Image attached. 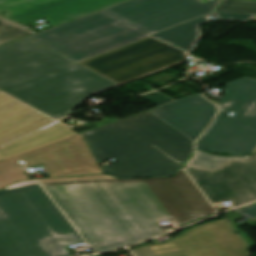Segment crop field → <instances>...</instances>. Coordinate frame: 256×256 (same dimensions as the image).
I'll list each match as a JSON object with an SVG mask.
<instances>
[{
    "mask_svg": "<svg viewBox=\"0 0 256 256\" xmlns=\"http://www.w3.org/2000/svg\"><path fill=\"white\" fill-rule=\"evenodd\" d=\"M95 253L216 214L182 169L174 177L41 184ZM140 242V241H139Z\"/></svg>",
    "mask_w": 256,
    "mask_h": 256,
    "instance_id": "1",
    "label": "crop field"
},
{
    "mask_svg": "<svg viewBox=\"0 0 256 256\" xmlns=\"http://www.w3.org/2000/svg\"><path fill=\"white\" fill-rule=\"evenodd\" d=\"M198 0H129L30 38L79 62L210 14Z\"/></svg>",
    "mask_w": 256,
    "mask_h": 256,
    "instance_id": "2",
    "label": "crop field"
},
{
    "mask_svg": "<svg viewBox=\"0 0 256 256\" xmlns=\"http://www.w3.org/2000/svg\"><path fill=\"white\" fill-rule=\"evenodd\" d=\"M70 225L38 184L0 191V256H72Z\"/></svg>",
    "mask_w": 256,
    "mask_h": 256,
    "instance_id": "3",
    "label": "crop field"
},
{
    "mask_svg": "<svg viewBox=\"0 0 256 256\" xmlns=\"http://www.w3.org/2000/svg\"><path fill=\"white\" fill-rule=\"evenodd\" d=\"M97 164L155 145L184 163L194 150L191 140L146 110L125 119L81 133Z\"/></svg>",
    "mask_w": 256,
    "mask_h": 256,
    "instance_id": "4",
    "label": "crop field"
},
{
    "mask_svg": "<svg viewBox=\"0 0 256 256\" xmlns=\"http://www.w3.org/2000/svg\"><path fill=\"white\" fill-rule=\"evenodd\" d=\"M114 86L76 63L2 91L58 120L88 96Z\"/></svg>",
    "mask_w": 256,
    "mask_h": 256,
    "instance_id": "5",
    "label": "crop field"
},
{
    "mask_svg": "<svg viewBox=\"0 0 256 256\" xmlns=\"http://www.w3.org/2000/svg\"><path fill=\"white\" fill-rule=\"evenodd\" d=\"M214 123L196 143L197 150L237 155L256 146V79L227 83ZM229 111H236L233 116Z\"/></svg>",
    "mask_w": 256,
    "mask_h": 256,
    "instance_id": "6",
    "label": "crop field"
},
{
    "mask_svg": "<svg viewBox=\"0 0 256 256\" xmlns=\"http://www.w3.org/2000/svg\"><path fill=\"white\" fill-rule=\"evenodd\" d=\"M187 53L148 36L79 63L120 85L189 60Z\"/></svg>",
    "mask_w": 256,
    "mask_h": 256,
    "instance_id": "7",
    "label": "crop field"
},
{
    "mask_svg": "<svg viewBox=\"0 0 256 256\" xmlns=\"http://www.w3.org/2000/svg\"><path fill=\"white\" fill-rule=\"evenodd\" d=\"M43 163L51 177L101 173L80 134L0 161V189L29 178L20 167Z\"/></svg>",
    "mask_w": 256,
    "mask_h": 256,
    "instance_id": "8",
    "label": "crop field"
},
{
    "mask_svg": "<svg viewBox=\"0 0 256 256\" xmlns=\"http://www.w3.org/2000/svg\"><path fill=\"white\" fill-rule=\"evenodd\" d=\"M248 250L224 220L196 226L166 244L132 250L134 256H241Z\"/></svg>",
    "mask_w": 256,
    "mask_h": 256,
    "instance_id": "9",
    "label": "crop field"
},
{
    "mask_svg": "<svg viewBox=\"0 0 256 256\" xmlns=\"http://www.w3.org/2000/svg\"><path fill=\"white\" fill-rule=\"evenodd\" d=\"M187 172L211 203L232 200L235 207L256 199V154L213 171L188 165Z\"/></svg>",
    "mask_w": 256,
    "mask_h": 256,
    "instance_id": "10",
    "label": "crop field"
},
{
    "mask_svg": "<svg viewBox=\"0 0 256 256\" xmlns=\"http://www.w3.org/2000/svg\"><path fill=\"white\" fill-rule=\"evenodd\" d=\"M76 63L52 49L24 38L0 47V90Z\"/></svg>",
    "mask_w": 256,
    "mask_h": 256,
    "instance_id": "11",
    "label": "crop field"
},
{
    "mask_svg": "<svg viewBox=\"0 0 256 256\" xmlns=\"http://www.w3.org/2000/svg\"><path fill=\"white\" fill-rule=\"evenodd\" d=\"M149 110L195 142L211 123L216 106L194 94Z\"/></svg>",
    "mask_w": 256,
    "mask_h": 256,
    "instance_id": "12",
    "label": "crop field"
},
{
    "mask_svg": "<svg viewBox=\"0 0 256 256\" xmlns=\"http://www.w3.org/2000/svg\"><path fill=\"white\" fill-rule=\"evenodd\" d=\"M180 166L154 146L130 155L101 170L116 178L172 176Z\"/></svg>",
    "mask_w": 256,
    "mask_h": 256,
    "instance_id": "13",
    "label": "crop field"
},
{
    "mask_svg": "<svg viewBox=\"0 0 256 256\" xmlns=\"http://www.w3.org/2000/svg\"><path fill=\"white\" fill-rule=\"evenodd\" d=\"M52 121L0 92V145Z\"/></svg>",
    "mask_w": 256,
    "mask_h": 256,
    "instance_id": "14",
    "label": "crop field"
},
{
    "mask_svg": "<svg viewBox=\"0 0 256 256\" xmlns=\"http://www.w3.org/2000/svg\"><path fill=\"white\" fill-rule=\"evenodd\" d=\"M123 1L126 0H65L12 20L27 25L43 18L56 27Z\"/></svg>",
    "mask_w": 256,
    "mask_h": 256,
    "instance_id": "15",
    "label": "crop field"
},
{
    "mask_svg": "<svg viewBox=\"0 0 256 256\" xmlns=\"http://www.w3.org/2000/svg\"><path fill=\"white\" fill-rule=\"evenodd\" d=\"M74 134L64 123L58 121L13 142L17 146L0 151V158L4 159Z\"/></svg>",
    "mask_w": 256,
    "mask_h": 256,
    "instance_id": "16",
    "label": "crop field"
},
{
    "mask_svg": "<svg viewBox=\"0 0 256 256\" xmlns=\"http://www.w3.org/2000/svg\"><path fill=\"white\" fill-rule=\"evenodd\" d=\"M208 16L209 15L178 25L151 36L171 43L174 47H179L185 51L192 52L199 37H201L199 25L210 21L207 18Z\"/></svg>",
    "mask_w": 256,
    "mask_h": 256,
    "instance_id": "17",
    "label": "crop field"
},
{
    "mask_svg": "<svg viewBox=\"0 0 256 256\" xmlns=\"http://www.w3.org/2000/svg\"><path fill=\"white\" fill-rule=\"evenodd\" d=\"M59 1L62 0H0V13L5 11L7 14L2 16L12 19Z\"/></svg>",
    "mask_w": 256,
    "mask_h": 256,
    "instance_id": "18",
    "label": "crop field"
},
{
    "mask_svg": "<svg viewBox=\"0 0 256 256\" xmlns=\"http://www.w3.org/2000/svg\"><path fill=\"white\" fill-rule=\"evenodd\" d=\"M35 33L31 29L0 17V46Z\"/></svg>",
    "mask_w": 256,
    "mask_h": 256,
    "instance_id": "19",
    "label": "crop field"
},
{
    "mask_svg": "<svg viewBox=\"0 0 256 256\" xmlns=\"http://www.w3.org/2000/svg\"><path fill=\"white\" fill-rule=\"evenodd\" d=\"M240 158H248V156L218 157L206 152H197L196 157L189 164L213 170L231 159Z\"/></svg>",
    "mask_w": 256,
    "mask_h": 256,
    "instance_id": "20",
    "label": "crop field"
},
{
    "mask_svg": "<svg viewBox=\"0 0 256 256\" xmlns=\"http://www.w3.org/2000/svg\"><path fill=\"white\" fill-rule=\"evenodd\" d=\"M215 11L234 13H256V2L221 0Z\"/></svg>",
    "mask_w": 256,
    "mask_h": 256,
    "instance_id": "21",
    "label": "crop field"
},
{
    "mask_svg": "<svg viewBox=\"0 0 256 256\" xmlns=\"http://www.w3.org/2000/svg\"><path fill=\"white\" fill-rule=\"evenodd\" d=\"M219 20L246 22L256 14L214 13Z\"/></svg>",
    "mask_w": 256,
    "mask_h": 256,
    "instance_id": "22",
    "label": "crop field"
},
{
    "mask_svg": "<svg viewBox=\"0 0 256 256\" xmlns=\"http://www.w3.org/2000/svg\"><path fill=\"white\" fill-rule=\"evenodd\" d=\"M112 178L107 175H96V176H87V177H77V178H63V179H45L37 180L39 183H48V182H66V181H81V180H95V179H108Z\"/></svg>",
    "mask_w": 256,
    "mask_h": 256,
    "instance_id": "23",
    "label": "crop field"
},
{
    "mask_svg": "<svg viewBox=\"0 0 256 256\" xmlns=\"http://www.w3.org/2000/svg\"><path fill=\"white\" fill-rule=\"evenodd\" d=\"M142 97L146 98L147 100L151 101L152 103L158 106L174 101L173 99L163 95L160 92H154L151 94L143 95Z\"/></svg>",
    "mask_w": 256,
    "mask_h": 256,
    "instance_id": "24",
    "label": "crop field"
},
{
    "mask_svg": "<svg viewBox=\"0 0 256 256\" xmlns=\"http://www.w3.org/2000/svg\"><path fill=\"white\" fill-rule=\"evenodd\" d=\"M251 220L256 221V204L251 205L243 210L235 211Z\"/></svg>",
    "mask_w": 256,
    "mask_h": 256,
    "instance_id": "25",
    "label": "crop field"
},
{
    "mask_svg": "<svg viewBox=\"0 0 256 256\" xmlns=\"http://www.w3.org/2000/svg\"><path fill=\"white\" fill-rule=\"evenodd\" d=\"M12 146H15V145L11 143V144H9L7 146H4V147L0 148V150L6 149V148H9V147H12Z\"/></svg>",
    "mask_w": 256,
    "mask_h": 256,
    "instance_id": "26",
    "label": "crop field"
},
{
    "mask_svg": "<svg viewBox=\"0 0 256 256\" xmlns=\"http://www.w3.org/2000/svg\"><path fill=\"white\" fill-rule=\"evenodd\" d=\"M242 256H247V251L241 252Z\"/></svg>",
    "mask_w": 256,
    "mask_h": 256,
    "instance_id": "27",
    "label": "crop field"
},
{
    "mask_svg": "<svg viewBox=\"0 0 256 256\" xmlns=\"http://www.w3.org/2000/svg\"><path fill=\"white\" fill-rule=\"evenodd\" d=\"M251 21H256V17H255V18H253V19H251Z\"/></svg>",
    "mask_w": 256,
    "mask_h": 256,
    "instance_id": "28",
    "label": "crop field"
},
{
    "mask_svg": "<svg viewBox=\"0 0 256 256\" xmlns=\"http://www.w3.org/2000/svg\"><path fill=\"white\" fill-rule=\"evenodd\" d=\"M252 152H256V147H255V149Z\"/></svg>",
    "mask_w": 256,
    "mask_h": 256,
    "instance_id": "29",
    "label": "crop field"
},
{
    "mask_svg": "<svg viewBox=\"0 0 256 256\" xmlns=\"http://www.w3.org/2000/svg\"><path fill=\"white\" fill-rule=\"evenodd\" d=\"M254 1H256V0H254Z\"/></svg>",
    "mask_w": 256,
    "mask_h": 256,
    "instance_id": "30",
    "label": "crop field"
},
{
    "mask_svg": "<svg viewBox=\"0 0 256 256\" xmlns=\"http://www.w3.org/2000/svg\"><path fill=\"white\" fill-rule=\"evenodd\" d=\"M1 160V159H0Z\"/></svg>",
    "mask_w": 256,
    "mask_h": 256,
    "instance_id": "31",
    "label": "crop field"
}]
</instances>
